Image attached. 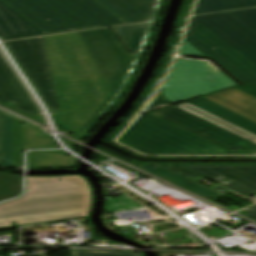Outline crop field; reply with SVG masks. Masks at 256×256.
<instances>
[{
    "label": "crop field",
    "instance_id": "412701ff",
    "mask_svg": "<svg viewBox=\"0 0 256 256\" xmlns=\"http://www.w3.org/2000/svg\"><path fill=\"white\" fill-rule=\"evenodd\" d=\"M120 138L156 155H235L149 114L140 116Z\"/></svg>",
    "mask_w": 256,
    "mask_h": 256
},
{
    "label": "crop field",
    "instance_id": "28ad6ade",
    "mask_svg": "<svg viewBox=\"0 0 256 256\" xmlns=\"http://www.w3.org/2000/svg\"><path fill=\"white\" fill-rule=\"evenodd\" d=\"M92 192L25 197L0 204V213L91 203Z\"/></svg>",
    "mask_w": 256,
    "mask_h": 256
},
{
    "label": "crop field",
    "instance_id": "d9b57169",
    "mask_svg": "<svg viewBox=\"0 0 256 256\" xmlns=\"http://www.w3.org/2000/svg\"><path fill=\"white\" fill-rule=\"evenodd\" d=\"M77 161L62 151L28 153V169L76 167Z\"/></svg>",
    "mask_w": 256,
    "mask_h": 256
},
{
    "label": "crop field",
    "instance_id": "a9b5d70f",
    "mask_svg": "<svg viewBox=\"0 0 256 256\" xmlns=\"http://www.w3.org/2000/svg\"><path fill=\"white\" fill-rule=\"evenodd\" d=\"M115 29L129 46V48L139 46L142 36L134 27V25L115 27Z\"/></svg>",
    "mask_w": 256,
    "mask_h": 256
},
{
    "label": "crop field",
    "instance_id": "bd1437ed",
    "mask_svg": "<svg viewBox=\"0 0 256 256\" xmlns=\"http://www.w3.org/2000/svg\"><path fill=\"white\" fill-rule=\"evenodd\" d=\"M0 165L4 166V115L0 113Z\"/></svg>",
    "mask_w": 256,
    "mask_h": 256
},
{
    "label": "crop field",
    "instance_id": "0bd39190",
    "mask_svg": "<svg viewBox=\"0 0 256 256\" xmlns=\"http://www.w3.org/2000/svg\"><path fill=\"white\" fill-rule=\"evenodd\" d=\"M39 256H48V254H47V253H45V254H41V255H39Z\"/></svg>",
    "mask_w": 256,
    "mask_h": 256
},
{
    "label": "crop field",
    "instance_id": "dd49c442",
    "mask_svg": "<svg viewBox=\"0 0 256 256\" xmlns=\"http://www.w3.org/2000/svg\"><path fill=\"white\" fill-rule=\"evenodd\" d=\"M106 86L115 91L133 56L110 28L78 32Z\"/></svg>",
    "mask_w": 256,
    "mask_h": 256
},
{
    "label": "crop field",
    "instance_id": "120bbe31",
    "mask_svg": "<svg viewBox=\"0 0 256 256\" xmlns=\"http://www.w3.org/2000/svg\"><path fill=\"white\" fill-rule=\"evenodd\" d=\"M236 88L256 97V86H240Z\"/></svg>",
    "mask_w": 256,
    "mask_h": 256
},
{
    "label": "crop field",
    "instance_id": "d3111659",
    "mask_svg": "<svg viewBox=\"0 0 256 256\" xmlns=\"http://www.w3.org/2000/svg\"><path fill=\"white\" fill-rule=\"evenodd\" d=\"M232 12L256 30V8Z\"/></svg>",
    "mask_w": 256,
    "mask_h": 256
},
{
    "label": "crop field",
    "instance_id": "eef30255",
    "mask_svg": "<svg viewBox=\"0 0 256 256\" xmlns=\"http://www.w3.org/2000/svg\"><path fill=\"white\" fill-rule=\"evenodd\" d=\"M71 256H142V253L116 252V251H93V250H71Z\"/></svg>",
    "mask_w": 256,
    "mask_h": 256
},
{
    "label": "crop field",
    "instance_id": "4a817a6b",
    "mask_svg": "<svg viewBox=\"0 0 256 256\" xmlns=\"http://www.w3.org/2000/svg\"><path fill=\"white\" fill-rule=\"evenodd\" d=\"M141 168L145 169V170H148L160 177H163L173 183H176L182 187H185L203 197H206L210 200L216 198V197H219V196H222L220 194H217L203 186H200L180 175H177L175 173H172L158 165H143L141 166Z\"/></svg>",
    "mask_w": 256,
    "mask_h": 256
},
{
    "label": "crop field",
    "instance_id": "22f410ed",
    "mask_svg": "<svg viewBox=\"0 0 256 256\" xmlns=\"http://www.w3.org/2000/svg\"><path fill=\"white\" fill-rule=\"evenodd\" d=\"M0 101L29 114H40L36 104L0 54Z\"/></svg>",
    "mask_w": 256,
    "mask_h": 256
},
{
    "label": "crop field",
    "instance_id": "4177f3b9",
    "mask_svg": "<svg viewBox=\"0 0 256 256\" xmlns=\"http://www.w3.org/2000/svg\"><path fill=\"white\" fill-rule=\"evenodd\" d=\"M141 207L134 201L122 195L106 201L105 213L110 211L126 210Z\"/></svg>",
    "mask_w": 256,
    "mask_h": 256
},
{
    "label": "crop field",
    "instance_id": "d1516ede",
    "mask_svg": "<svg viewBox=\"0 0 256 256\" xmlns=\"http://www.w3.org/2000/svg\"><path fill=\"white\" fill-rule=\"evenodd\" d=\"M91 191L85 177L80 175L27 177V192L23 196L53 195Z\"/></svg>",
    "mask_w": 256,
    "mask_h": 256
},
{
    "label": "crop field",
    "instance_id": "5a996713",
    "mask_svg": "<svg viewBox=\"0 0 256 256\" xmlns=\"http://www.w3.org/2000/svg\"><path fill=\"white\" fill-rule=\"evenodd\" d=\"M179 166L247 197L256 195V166Z\"/></svg>",
    "mask_w": 256,
    "mask_h": 256
},
{
    "label": "crop field",
    "instance_id": "e52e79f7",
    "mask_svg": "<svg viewBox=\"0 0 256 256\" xmlns=\"http://www.w3.org/2000/svg\"><path fill=\"white\" fill-rule=\"evenodd\" d=\"M51 113L61 112L42 37L4 43Z\"/></svg>",
    "mask_w": 256,
    "mask_h": 256
},
{
    "label": "crop field",
    "instance_id": "d8731c3e",
    "mask_svg": "<svg viewBox=\"0 0 256 256\" xmlns=\"http://www.w3.org/2000/svg\"><path fill=\"white\" fill-rule=\"evenodd\" d=\"M152 114L211 140L232 152L242 148L256 153V144L176 107Z\"/></svg>",
    "mask_w": 256,
    "mask_h": 256
},
{
    "label": "crop field",
    "instance_id": "5866460e",
    "mask_svg": "<svg viewBox=\"0 0 256 256\" xmlns=\"http://www.w3.org/2000/svg\"><path fill=\"white\" fill-rule=\"evenodd\" d=\"M118 142H120V143H122V144H124V145L130 146V147H132L133 149H135V150H137V151H139V152H141V153H143V154H152V153H150V152H148V151H144V150H142V149H140V148H138V147H136V146H134V145H132V144H130V143H128V142H125V141H123V140H121V139H118ZM152 155H154V154H152Z\"/></svg>",
    "mask_w": 256,
    "mask_h": 256
},
{
    "label": "crop field",
    "instance_id": "00972430",
    "mask_svg": "<svg viewBox=\"0 0 256 256\" xmlns=\"http://www.w3.org/2000/svg\"><path fill=\"white\" fill-rule=\"evenodd\" d=\"M22 166L21 123L13 119V167Z\"/></svg>",
    "mask_w": 256,
    "mask_h": 256
},
{
    "label": "crop field",
    "instance_id": "bc2a9ffb",
    "mask_svg": "<svg viewBox=\"0 0 256 256\" xmlns=\"http://www.w3.org/2000/svg\"><path fill=\"white\" fill-rule=\"evenodd\" d=\"M256 6V0H198L193 15Z\"/></svg>",
    "mask_w": 256,
    "mask_h": 256
},
{
    "label": "crop field",
    "instance_id": "ae1a2a85",
    "mask_svg": "<svg viewBox=\"0 0 256 256\" xmlns=\"http://www.w3.org/2000/svg\"><path fill=\"white\" fill-rule=\"evenodd\" d=\"M160 166H162V167H164V168H166V169H168V170H170V171H172V172H175V173H178V174H180V175H182V176H184V177H186V178H188V177H190V178H192V179H199V178H202V177H200V176H197V175H195V174H193V173H191V172H189V171H186V170H184V169H182L181 167H179L178 165H160ZM190 178H188V179H190ZM192 179H190V180H192ZM192 181H194V180H192ZM196 182V181H195ZM198 183V182H197ZM200 184V183H199ZM202 185V184H201ZM204 186V185H203ZM206 187V186H205ZM208 188V187H207ZM209 189H212V190H214V191H216V192H218V193H220L219 191H222L220 194H222V195H224V194H226V193H228V192H230V191H228V190H226V189H224V188H222V187H220V186H218V185H215V186H213V187H211V188H209Z\"/></svg>",
    "mask_w": 256,
    "mask_h": 256
},
{
    "label": "crop field",
    "instance_id": "3316defc",
    "mask_svg": "<svg viewBox=\"0 0 256 256\" xmlns=\"http://www.w3.org/2000/svg\"><path fill=\"white\" fill-rule=\"evenodd\" d=\"M91 204L0 214V227L32 224L88 216Z\"/></svg>",
    "mask_w": 256,
    "mask_h": 256
},
{
    "label": "crop field",
    "instance_id": "f4fd0767",
    "mask_svg": "<svg viewBox=\"0 0 256 256\" xmlns=\"http://www.w3.org/2000/svg\"><path fill=\"white\" fill-rule=\"evenodd\" d=\"M234 85H238V83L210 61L178 58L173 64L161 92L173 105Z\"/></svg>",
    "mask_w": 256,
    "mask_h": 256
},
{
    "label": "crop field",
    "instance_id": "8a807250",
    "mask_svg": "<svg viewBox=\"0 0 256 256\" xmlns=\"http://www.w3.org/2000/svg\"><path fill=\"white\" fill-rule=\"evenodd\" d=\"M62 113L53 117L77 134L111 97L77 32L44 37Z\"/></svg>",
    "mask_w": 256,
    "mask_h": 256
},
{
    "label": "crop field",
    "instance_id": "5142ce71",
    "mask_svg": "<svg viewBox=\"0 0 256 256\" xmlns=\"http://www.w3.org/2000/svg\"><path fill=\"white\" fill-rule=\"evenodd\" d=\"M129 23L146 21L154 1L152 0H98ZM127 22V23H128Z\"/></svg>",
    "mask_w": 256,
    "mask_h": 256
},
{
    "label": "crop field",
    "instance_id": "214f88e0",
    "mask_svg": "<svg viewBox=\"0 0 256 256\" xmlns=\"http://www.w3.org/2000/svg\"><path fill=\"white\" fill-rule=\"evenodd\" d=\"M176 107H178L180 109H183V110H185L189 113H192L196 116H199V117H201V118H203V119H205V120H207L211 123H214V124L224 128V129H227V130H229V131H231V132H233V133H235V134H237V135H239V136H241V137H243L247 140L251 139V140H253L252 142L256 143V136L255 135H253V134H251L247 131H244V130L238 128V127H235V126H233V125H231L227 122H224V121H222V120H220V119H218V118H216V117H214V116H212L208 113H205V112H203V111H201V110H199V109H197V108H195V107H193V106H191L187 103L177 105Z\"/></svg>",
    "mask_w": 256,
    "mask_h": 256
},
{
    "label": "crop field",
    "instance_id": "cbeb9de0",
    "mask_svg": "<svg viewBox=\"0 0 256 256\" xmlns=\"http://www.w3.org/2000/svg\"><path fill=\"white\" fill-rule=\"evenodd\" d=\"M43 34L29 21L0 0V38L1 40L13 37Z\"/></svg>",
    "mask_w": 256,
    "mask_h": 256
},
{
    "label": "crop field",
    "instance_id": "ac0d7876",
    "mask_svg": "<svg viewBox=\"0 0 256 256\" xmlns=\"http://www.w3.org/2000/svg\"><path fill=\"white\" fill-rule=\"evenodd\" d=\"M244 83H256V31L231 12L193 17L185 35Z\"/></svg>",
    "mask_w": 256,
    "mask_h": 256
},
{
    "label": "crop field",
    "instance_id": "750c4746",
    "mask_svg": "<svg viewBox=\"0 0 256 256\" xmlns=\"http://www.w3.org/2000/svg\"><path fill=\"white\" fill-rule=\"evenodd\" d=\"M179 54H185V55H195V56H203L206 57L205 55H203L199 50H197L194 46H192L188 41H186L184 39L182 47L180 49Z\"/></svg>",
    "mask_w": 256,
    "mask_h": 256
},
{
    "label": "crop field",
    "instance_id": "d32e631a",
    "mask_svg": "<svg viewBox=\"0 0 256 256\" xmlns=\"http://www.w3.org/2000/svg\"><path fill=\"white\" fill-rule=\"evenodd\" d=\"M244 211L248 213L245 216H247V217H249V218H251V219L256 221V205L252 206V207H250V208H248V209H246Z\"/></svg>",
    "mask_w": 256,
    "mask_h": 256
},
{
    "label": "crop field",
    "instance_id": "92a150f3",
    "mask_svg": "<svg viewBox=\"0 0 256 256\" xmlns=\"http://www.w3.org/2000/svg\"><path fill=\"white\" fill-rule=\"evenodd\" d=\"M22 147L29 148L57 147L56 143L49 137H37L36 128L22 125Z\"/></svg>",
    "mask_w": 256,
    "mask_h": 256
},
{
    "label": "crop field",
    "instance_id": "e1f06a70",
    "mask_svg": "<svg viewBox=\"0 0 256 256\" xmlns=\"http://www.w3.org/2000/svg\"><path fill=\"white\" fill-rule=\"evenodd\" d=\"M136 50H137V48L131 49V53L134 55Z\"/></svg>",
    "mask_w": 256,
    "mask_h": 256
},
{
    "label": "crop field",
    "instance_id": "028f5c9d",
    "mask_svg": "<svg viewBox=\"0 0 256 256\" xmlns=\"http://www.w3.org/2000/svg\"><path fill=\"white\" fill-rule=\"evenodd\" d=\"M147 24H148V23H145V24H137V25H135V26H136V28L139 30V32L143 35Z\"/></svg>",
    "mask_w": 256,
    "mask_h": 256
},
{
    "label": "crop field",
    "instance_id": "730fd06b",
    "mask_svg": "<svg viewBox=\"0 0 256 256\" xmlns=\"http://www.w3.org/2000/svg\"><path fill=\"white\" fill-rule=\"evenodd\" d=\"M5 166L12 167V118L5 115Z\"/></svg>",
    "mask_w": 256,
    "mask_h": 256
},
{
    "label": "crop field",
    "instance_id": "dafd665d",
    "mask_svg": "<svg viewBox=\"0 0 256 256\" xmlns=\"http://www.w3.org/2000/svg\"><path fill=\"white\" fill-rule=\"evenodd\" d=\"M21 193V177L0 173V201L18 196Z\"/></svg>",
    "mask_w": 256,
    "mask_h": 256
},
{
    "label": "crop field",
    "instance_id": "733c2abd",
    "mask_svg": "<svg viewBox=\"0 0 256 256\" xmlns=\"http://www.w3.org/2000/svg\"><path fill=\"white\" fill-rule=\"evenodd\" d=\"M188 103L256 135V123L241 117L223 107H220L204 98Z\"/></svg>",
    "mask_w": 256,
    "mask_h": 256
},
{
    "label": "crop field",
    "instance_id": "34b2d1b8",
    "mask_svg": "<svg viewBox=\"0 0 256 256\" xmlns=\"http://www.w3.org/2000/svg\"><path fill=\"white\" fill-rule=\"evenodd\" d=\"M44 34L125 22L96 0H3Z\"/></svg>",
    "mask_w": 256,
    "mask_h": 256
},
{
    "label": "crop field",
    "instance_id": "1d83c4d3",
    "mask_svg": "<svg viewBox=\"0 0 256 256\" xmlns=\"http://www.w3.org/2000/svg\"><path fill=\"white\" fill-rule=\"evenodd\" d=\"M167 102L168 100L165 98V96L161 92H159L157 98L150 104L148 108H151L159 104L167 103Z\"/></svg>",
    "mask_w": 256,
    "mask_h": 256
}]
</instances>
